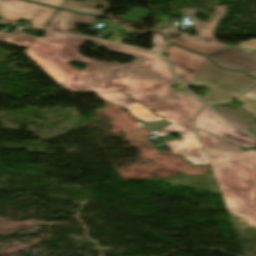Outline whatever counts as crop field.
Returning a JSON list of instances; mask_svg holds the SVG:
<instances>
[{
    "label": "crop field",
    "instance_id": "4",
    "mask_svg": "<svg viewBox=\"0 0 256 256\" xmlns=\"http://www.w3.org/2000/svg\"><path fill=\"white\" fill-rule=\"evenodd\" d=\"M181 11L183 15H189L191 17L194 29L198 33L199 37L183 36L172 41V43L198 51L205 55L228 46L226 44L219 43L214 40L213 37L214 27L218 20L223 17L226 7H218L209 22L196 21V19L193 18V15L197 12L196 9H181Z\"/></svg>",
    "mask_w": 256,
    "mask_h": 256
},
{
    "label": "crop field",
    "instance_id": "18",
    "mask_svg": "<svg viewBox=\"0 0 256 256\" xmlns=\"http://www.w3.org/2000/svg\"><path fill=\"white\" fill-rule=\"evenodd\" d=\"M161 32L165 33L166 37L169 40H173V39L183 35L182 33L175 31L174 28L162 30Z\"/></svg>",
    "mask_w": 256,
    "mask_h": 256
},
{
    "label": "crop field",
    "instance_id": "12",
    "mask_svg": "<svg viewBox=\"0 0 256 256\" xmlns=\"http://www.w3.org/2000/svg\"><path fill=\"white\" fill-rule=\"evenodd\" d=\"M98 3L104 7L103 10L94 9ZM61 8L86 14H103L108 9V4L104 0H89L85 2L66 0L61 6Z\"/></svg>",
    "mask_w": 256,
    "mask_h": 256
},
{
    "label": "crop field",
    "instance_id": "2",
    "mask_svg": "<svg viewBox=\"0 0 256 256\" xmlns=\"http://www.w3.org/2000/svg\"><path fill=\"white\" fill-rule=\"evenodd\" d=\"M198 133L228 212L256 227V151L242 152L220 138Z\"/></svg>",
    "mask_w": 256,
    "mask_h": 256
},
{
    "label": "crop field",
    "instance_id": "19",
    "mask_svg": "<svg viewBox=\"0 0 256 256\" xmlns=\"http://www.w3.org/2000/svg\"><path fill=\"white\" fill-rule=\"evenodd\" d=\"M236 47H242V48H248V49H254L256 50V39L250 40L248 42H241Z\"/></svg>",
    "mask_w": 256,
    "mask_h": 256
},
{
    "label": "crop field",
    "instance_id": "16",
    "mask_svg": "<svg viewBox=\"0 0 256 256\" xmlns=\"http://www.w3.org/2000/svg\"><path fill=\"white\" fill-rule=\"evenodd\" d=\"M251 91L256 93V87L252 88ZM237 100L246 103L244 109L250 111L252 114L256 116V100L246 97L244 95L237 98Z\"/></svg>",
    "mask_w": 256,
    "mask_h": 256
},
{
    "label": "crop field",
    "instance_id": "9",
    "mask_svg": "<svg viewBox=\"0 0 256 256\" xmlns=\"http://www.w3.org/2000/svg\"><path fill=\"white\" fill-rule=\"evenodd\" d=\"M182 139L173 140L163 143L174 154H179L194 165L209 164L205 153L202 152V144L200 143L196 132H188L180 134Z\"/></svg>",
    "mask_w": 256,
    "mask_h": 256
},
{
    "label": "crop field",
    "instance_id": "11",
    "mask_svg": "<svg viewBox=\"0 0 256 256\" xmlns=\"http://www.w3.org/2000/svg\"><path fill=\"white\" fill-rule=\"evenodd\" d=\"M96 18L99 17L82 16L58 10L43 29L79 34L75 31V23L90 25L91 22L98 23Z\"/></svg>",
    "mask_w": 256,
    "mask_h": 256
},
{
    "label": "crop field",
    "instance_id": "8",
    "mask_svg": "<svg viewBox=\"0 0 256 256\" xmlns=\"http://www.w3.org/2000/svg\"><path fill=\"white\" fill-rule=\"evenodd\" d=\"M163 52L168 53L167 59L172 63L177 77L186 87H189L205 57L183 50L170 43L167 44Z\"/></svg>",
    "mask_w": 256,
    "mask_h": 256
},
{
    "label": "crop field",
    "instance_id": "1",
    "mask_svg": "<svg viewBox=\"0 0 256 256\" xmlns=\"http://www.w3.org/2000/svg\"><path fill=\"white\" fill-rule=\"evenodd\" d=\"M84 41L97 45L99 40L45 33L44 38L35 37L25 53L71 93L121 90L171 123L192 121L203 107L188 91L169 87L177 82L162 58L101 41L99 47L136 59L124 66L99 62L78 54ZM71 62L87 64L84 72L68 64Z\"/></svg>",
    "mask_w": 256,
    "mask_h": 256
},
{
    "label": "crop field",
    "instance_id": "17",
    "mask_svg": "<svg viewBox=\"0 0 256 256\" xmlns=\"http://www.w3.org/2000/svg\"><path fill=\"white\" fill-rule=\"evenodd\" d=\"M167 41L162 37L161 34H157L153 37L152 43L154 47L152 51L159 52Z\"/></svg>",
    "mask_w": 256,
    "mask_h": 256
},
{
    "label": "crop field",
    "instance_id": "14",
    "mask_svg": "<svg viewBox=\"0 0 256 256\" xmlns=\"http://www.w3.org/2000/svg\"><path fill=\"white\" fill-rule=\"evenodd\" d=\"M190 129H194L193 122L171 124L170 126L164 128L160 133H157V135L160 138L169 134L180 133L182 131L190 130Z\"/></svg>",
    "mask_w": 256,
    "mask_h": 256
},
{
    "label": "crop field",
    "instance_id": "13",
    "mask_svg": "<svg viewBox=\"0 0 256 256\" xmlns=\"http://www.w3.org/2000/svg\"><path fill=\"white\" fill-rule=\"evenodd\" d=\"M22 29H15L10 34L0 32V41L12 45L27 47L33 40V36L22 33Z\"/></svg>",
    "mask_w": 256,
    "mask_h": 256
},
{
    "label": "crop field",
    "instance_id": "7",
    "mask_svg": "<svg viewBox=\"0 0 256 256\" xmlns=\"http://www.w3.org/2000/svg\"><path fill=\"white\" fill-rule=\"evenodd\" d=\"M218 65L232 70L246 71L256 77V51L226 47L208 55Z\"/></svg>",
    "mask_w": 256,
    "mask_h": 256
},
{
    "label": "crop field",
    "instance_id": "21",
    "mask_svg": "<svg viewBox=\"0 0 256 256\" xmlns=\"http://www.w3.org/2000/svg\"><path fill=\"white\" fill-rule=\"evenodd\" d=\"M244 95L249 96V97H251V98H255V97H256V94L253 93V92H251V91H249L248 93H246V94H244Z\"/></svg>",
    "mask_w": 256,
    "mask_h": 256
},
{
    "label": "crop field",
    "instance_id": "5",
    "mask_svg": "<svg viewBox=\"0 0 256 256\" xmlns=\"http://www.w3.org/2000/svg\"><path fill=\"white\" fill-rule=\"evenodd\" d=\"M0 9L4 10L1 22L14 25L16 20H27L32 23V29L38 30H41L57 11L22 0H0Z\"/></svg>",
    "mask_w": 256,
    "mask_h": 256
},
{
    "label": "crop field",
    "instance_id": "10",
    "mask_svg": "<svg viewBox=\"0 0 256 256\" xmlns=\"http://www.w3.org/2000/svg\"><path fill=\"white\" fill-rule=\"evenodd\" d=\"M104 100L108 102H112L119 107L125 109L129 113H131L136 119L145 121V122H155L159 120H163L161 117L132 99L131 97L127 96L121 91H114V92H102L96 93Z\"/></svg>",
    "mask_w": 256,
    "mask_h": 256
},
{
    "label": "crop field",
    "instance_id": "20",
    "mask_svg": "<svg viewBox=\"0 0 256 256\" xmlns=\"http://www.w3.org/2000/svg\"><path fill=\"white\" fill-rule=\"evenodd\" d=\"M31 1H36V2H40V3H44V4L57 6V7H60L62 5V3L64 2V0H31Z\"/></svg>",
    "mask_w": 256,
    "mask_h": 256
},
{
    "label": "crop field",
    "instance_id": "6",
    "mask_svg": "<svg viewBox=\"0 0 256 256\" xmlns=\"http://www.w3.org/2000/svg\"><path fill=\"white\" fill-rule=\"evenodd\" d=\"M195 127L221 136L245 148H256V139L219 118L205 105L194 119Z\"/></svg>",
    "mask_w": 256,
    "mask_h": 256
},
{
    "label": "crop field",
    "instance_id": "3",
    "mask_svg": "<svg viewBox=\"0 0 256 256\" xmlns=\"http://www.w3.org/2000/svg\"><path fill=\"white\" fill-rule=\"evenodd\" d=\"M191 84L212 88L203 98L210 106L228 103L256 85V79L241 72H229L216 67L205 58Z\"/></svg>",
    "mask_w": 256,
    "mask_h": 256
},
{
    "label": "crop field",
    "instance_id": "22",
    "mask_svg": "<svg viewBox=\"0 0 256 256\" xmlns=\"http://www.w3.org/2000/svg\"><path fill=\"white\" fill-rule=\"evenodd\" d=\"M2 13H3V11H2V10H0V18H1V16H2Z\"/></svg>",
    "mask_w": 256,
    "mask_h": 256
},
{
    "label": "crop field",
    "instance_id": "15",
    "mask_svg": "<svg viewBox=\"0 0 256 256\" xmlns=\"http://www.w3.org/2000/svg\"><path fill=\"white\" fill-rule=\"evenodd\" d=\"M149 14H150V12L147 10L136 8L133 11H131L130 13L121 17V19L131 21V22H138L139 19L146 18Z\"/></svg>",
    "mask_w": 256,
    "mask_h": 256
}]
</instances>
